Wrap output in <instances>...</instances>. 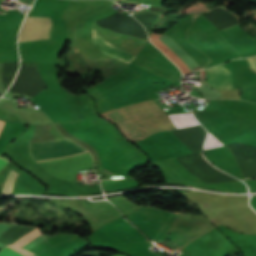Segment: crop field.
I'll return each mask as SVG.
<instances>
[{
    "label": "crop field",
    "mask_w": 256,
    "mask_h": 256,
    "mask_svg": "<svg viewBox=\"0 0 256 256\" xmlns=\"http://www.w3.org/2000/svg\"><path fill=\"white\" fill-rule=\"evenodd\" d=\"M46 86L48 85L43 81L37 63L21 62L19 77L10 91L33 97Z\"/></svg>",
    "instance_id": "crop-field-1"
},
{
    "label": "crop field",
    "mask_w": 256,
    "mask_h": 256,
    "mask_svg": "<svg viewBox=\"0 0 256 256\" xmlns=\"http://www.w3.org/2000/svg\"><path fill=\"white\" fill-rule=\"evenodd\" d=\"M36 161L89 153L71 141L29 146Z\"/></svg>",
    "instance_id": "crop-field-2"
},
{
    "label": "crop field",
    "mask_w": 256,
    "mask_h": 256,
    "mask_svg": "<svg viewBox=\"0 0 256 256\" xmlns=\"http://www.w3.org/2000/svg\"><path fill=\"white\" fill-rule=\"evenodd\" d=\"M51 26L49 17L27 16L19 42L49 38Z\"/></svg>",
    "instance_id": "crop-field-3"
},
{
    "label": "crop field",
    "mask_w": 256,
    "mask_h": 256,
    "mask_svg": "<svg viewBox=\"0 0 256 256\" xmlns=\"http://www.w3.org/2000/svg\"><path fill=\"white\" fill-rule=\"evenodd\" d=\"M204 71L210 85L220 90L233 88L231 71L221 66L206 69Z\"/></svg>",
    "instance_id": "crop-field-4"
},
{
    "label": "crop field",
    "mask_w": 256,
    "mask_h": 256,
    "mask_svg": "<svg viewBox=\"0 0 256 256\" xmlns=\"http://www.w3.org/2000/svg\"><path fill=\"white\" fill-rule=\"evenodd\" d=\"M93 43L98 46L102 51L105 53L124 60L126 62H130L134 59L135 55L130 54L128 52H125L123 50L115 49L111 46L109 42H107L103 37H101L96 30L94 29V35H93Z\"/></svg>",
    "instance_id": "crop-field-5"
},
{
    "label": "crop field",
    "mask_w": 256,
    "mask_h": 256,
    "mask_svg": "<svg viewBox=\"0 0 256 256\" xmlns=\"http://www.w3.org/2000/svg\"><path fill=\"white\" fill-rule=\"evenodd\" d=\"M228 112L247 116L256 120V104L246 103L238 100H223Z\"/></svg>",
    "instance_id": "crop-field-6"
},
{
    "label": "crop field",
    "mask_w": 256,
    "mask_h": 256,
    "mask_svg": "<svg viewBox=\"0 0 256 256\" xmlns=\"http://www.w3.org/2000/svg\"><path fill=\"white\" fill-rule=\"evenodd\" d=\"M170 118L173 120L176 128L187 127L196 125L198 122L191 113L172 115Z\"/></svg>",
    "instance_id": "crop-field-7"
},
{
    "label": "crop field",
    "mask_w": 256,
    "mask_h": 256,
    "mask_svg": "<svg viewBox=\"0 0 256 256\" xmlns=\"http://www.w3.org/2000/svg\"><path fill=\"white\" fill-rule=\"evenodd\" d=\"M33 253L26 251L22 248L16 247L14 245L6 246L0 251V256H31Z\"/></svg>",
    "instance_id": "crop-field-8"
},
{
    "label": "crop field",
    "mask_w": 256,
    "mask_h": 256,
    "mask_svg": "<svg viewBox=\"0 0 256 256\" xmlns=\"http://www.w3.org/2000/svg\"><path fill=\"white\" fill-rule=\"evenodd\" d=\"M40 234L39 229H35L33 230L31 233L21 237L20 239H18L14 245H17L19 247L23 246L24 244H26L27 242H29L30 240L36 238L38 235Z\"/></svg>",
    "instance_id": "crop-field-9"
},
{
    "label": "crop field",
    "mask_w": 256,
    "mask_h": 256,
    "mask_svg": "<svg viewBox=\"0 0 256 256\" xmlns=\"http://www.w3.org/2000/svg\"><path fill=\"white\" fill-rule=\"evenodd\" d=\"M221 145H223V144L220 143L213 135L208 133V137H207V140L204 145V150L213 148V147H217V146H221Z\"/></svg>",
    "instance_id": "crop-field-10"
},
{
    "label": "crop field",
    "mask_w": 256,
    "mask_h": 256,
    "mask_svg": "<svg viewBox=\"0 0 256 256\" xmlns=\"http://www.w3.org/2000/svg\"><path fill=\"white\" fill-rule=\"evenodd\" d=\"M247 63L256 71V57L248 58Z\"/></svg>",
    "instance_id": "crop-field-11"
},
{
    "label": "crop field",
    "mask_w": 256,
    "mask_h": 256,
    "mask_svg": "<svg viewBox=\"0 0 256 256\" xmlns=\"http://www.w3.org/2000/svg\"><path fill=\"white\" fill-rule=\"evenodd\" d=\"M247 100L256 102V91H249Z\"/></svg>",
    "instance_id": "crop-field-12"
},
{
    "label": "crop field",
    "mask_w": 256,
    "mask_h": 256,
    "mask_svg": "<svg viewBox=\"0 0 256 256\" xmlns=\"http://www.w3.org/2000/svg\"><path fill=\"white\" fill-rule=\"evenodd\" d=\"M10 160L0 157V169L4 167Z\"/></svg>",
    "instance_id": "crop-field-13"
},
{
    "label": "crop field",
    "mask_w": 256,
    "mask_h": 256,
    "mask_svg": "<svg viewBox=\"0 0 256 256\" xmlns=\"http://www.w3.org/2000/svg\"><path fill=\"white\" fill-rule=\"evenodd\" d=\"M3 124H4V122L0 121V130H1L2 126H3Z\"/></svg>",
    "instance_id": "crop-field-14"
},
{
    "label": "crop field",
    "mask_w": 256,
    "mask_h": 256,
    "mask_svg": "<svg viewBox=\"0 0 256 256\" xmlns=\"http://www.w3.org/2000/svg\"><path fill=\"white\" fill-rule=\"evenodd\" d=\"M116 1H119V0H116Z\"/></svg>",
    "instance_id": "crop-field-15"
},
{
    "label": "crop field",
    "mask_w": 256,
    "mask_h": 256,
    "mask_svg": "<svg viewBox=\"0 0 256 256\" xmlns=\"http://www.w3.org/2000/svg\"><path fill=\"white\" fill-rule=\"evenodd\" d=\"M163 34V33H162ZM158 35V34H157ZM159 36V35H158Z\"/></svg>",
    "instance_id": "crop-field-16"
},
{
    "label": "crop field",
    "mask_w": 256,
    "mask_h": 256,
    "mask_svg": "<svg viewBox=\"0 0 256 256\" xmlns=\"http://www.w3.org/2000/svg\"><path fill=\"white\" fill-rule=\"evenodd\" d=\"M34 256H36V255H34Z\"/></svg>",
    "instance_id": "crop-field-17"
}]
</instances>
